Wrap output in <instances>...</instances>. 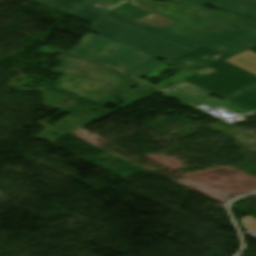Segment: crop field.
<instances>
[{
    "instance_id": "5142ce71",
    "label": "crop field",
    "mask_w": 256,
    "mask_h": 256,
    "mask_svg": "<svg viewBox=\"0 0 256 256\" xmlns=\"http://www.w3.org/2000/svg\"><path fill=\"white\" fill-rule=\"evenodd\" d=\"M168 1L186 3V4L203 7V6L210 4L216 0H168Z\"/></svg>"
},
{
    "instance_id": "34b2d1b8",
    "label": "crop field",
    "mask_w": 256,
    "mask_h": 256,
    "mask_svg": "<svg viewBox=\"0 0 256 256\" xmlns=\"http://www.w3.org/2000/svg\"><path fill=\"white\" fill-rule=\"evenodd\" d=\"M39 52L46 54L63 53L68 55L62 58L59 67L51 70L54 73H64L52 86L59 89L62 87V90L96 104L108 96L117 87V83L127 79L126 76L115 74L107 68L49 46L42 47ZM70 64L72 66H70ZM80 67H82V69H79ZM75 70H77V72H75ZM84 72H87V74H83ZM68 74H70V76H68ZM81 77H85L84 80H80ZM71 78L75 80L70 81ZM57 82L59 86H55ZM75 82L78 83L74 84ZM89 82H91V84L87 88L86 85ZM92 85L95 86L91 88ZM73 89H75V91H73ZM105 93L108 94L104 96ZM94 94H97V96H94Z\"/></svg>"
},
{
    "instance_id": "bc2a9ffb",
    "label": "crop field",
    "mask_w": 256,
    "mask_h": 256,
    "mask_svg": "<svg viewBox=\"0 0 256 256\" xmlns=\"http://www.w3.org/2000/svg\"><path fill=\"white\" fill-rule=\"evenodd\" d=\"M249 50H251V51H253V52H256V46L253 47V48H251V49H249Z\"/></svg>"
},
{
    "instance_id": "d8731c3e",
    "label": "crop field",
    "mask_w": 256,
    "mask_h": 256,
    "mask_svg": "<svg viewBox=\"0 0 256 256\" xmlns=\"http://www.w3.org/2000/svg\"><path fill=\"white\" fill-rule=\"evenodd\" d=\"M210 5L242 16L255 17L256 21V0H218Z\"/></svg>"
},
{
    "instance_id": "d9b57169",
    "label": "crop field",
    "mask_w": 256,
    "mask_h": 256,
    "mask_svg": "<svg viewBox=\"0 0 256 256\" xmlns=\"http://www.w3.org/2000/svg\"><path fill=\"white\" fill-rule=\"evenodd\" d=\"M241 221H242L243 227H245V226H244V223H246V224H248V225H250V226L256 228V219H254V218H252V217H250V216H248V217L242 219Z\"/></svg>"
},
{
    "instance_id": "412701ff",
    "label": "crop field",
    "mask_w": 256,
    "mask_h": 256,
    "mask_svg": "<svg viewBox=\"0 0 256 256\" xmlns=\"http://www.w3.org/2000/svg\"><path fill=\"white\" fill-rule=\"evenodd\" d=\"M111 49L113 53H108ZM69 53L81 57H88L92 61L109 69L124 73L145 61L153 58L149 55L115 43L99 35L87 33L81 39V45L69 51ZM112 64H117L113 66Z\"/></svg>"
},
{
    "instance_id": "cbeb9de0",
    "label": "crop field",
    "mask_w": 256,
    "mask_h": 256,
    "mask_svg": "<svg viewBox=\"0 0 256 256\" xmlns=\"http://www.w3.org/2000/svg\"><path fill=\"white\" fill-rule=\"evenodd\" d=\"M203 104V105H206V106H209V107H214V108H218V107H221L229 102L225 101V100H219V99H215L213 97H210V98H207V99H204V100H201V101H198V102H195V103H192L193 105H196V104Z\"/></svg>"
},
{
    "instance_id": "214f88e0",
    "label": "crop field",
    "mask_w": 256,
    "mask_h": 256,
    "mask_svg": "<svg viewBox=\"0 0 256 256\" xmlns=\"http://www.w3.org/2000/svg\"><path fill=\"white\" fill-rule=\"evenodd\" d=\"M127 1V0H126Z\"/></svg>"
},
{
    "instance_id": "733c2abd",
    "label": "crop field",
    "mask_w": 256,
    "mask_h": 256,
    "mask_svg": "<svg viewBox=\"0 0 256 256\" xmlns=\"http://www.w3.org/2000/svg\"><path fill=\"white\" fill-rule=\"evenodd\" d=\"M91 2H95V3H99V4H102V5H110V7H116L117 5L111 3V2H108L106 0H92Z\"/></svg>"
},
{
    "instance_id": "8a807250",
    "label": "crop field",
    "mask_w": 256,
    "mask_h": 256,
    "mask_svg": "<svg viewBox=\"0 0 256 256\" xmlns=\"http://www.w3.org/2000/svg\"><path fill=\"white\" fill-rule=\"evenodd\" d=\"M129 2L179 22L158 29L112 11L91 32L166 61L201 45L230 56L256 45V24L235 15L176 3Z\"/></svg>"
},
{
    "instance_id": "f4fd0767",
    "label": "crop field",
    "mask_w": 256,
    "mask_h": 256,
    "mask_svg": "<svg viewBox=\"0 0 256 256\" xmlns=\"http://www.w3.org/2000/svg\"><path fill=\"white\" fill-rule=\"evenodd\" d=\"M95 24L105 13L87 0H35Z\"/></svg>"
},
{
    "instance_id": "ac0d7876",
    "label": "crop field",
    "mask_w": 256,
    "mask_h": 256,
    "mask_svg": "<svg viewBox=\"0 0 256 256\" xmlns=\"http://www.w3.org/2000/svg\"><path fill=\"white\" fill-rule=\"evenodd\" d=\"M217 54L222 57L212 60ZM206 56L208 58L206 60L203 59ZM227 57L224 54L201 46L196 51L186 53L169 62L177 64L182 67V70L194 74L184 79V81L224 98L256 83V76L224 62L223 60ZM187 61L191 62V64H186L185 62ZM200 64H203V66ZM204 68L215 71L211 74L199 75L198 71Z\"/></svg>"
},
{
    "instance_id": "4a817a6b",
    "label": "crop field",
    "mask_w": 256,
    "mask_h": 256,
    "mask_svg": "<svg viewBox=\"0 0 256 256\" xmlns=\"http://www.w3.org/2000/svg\"><path fill=\"white\" fill-rule=\"evenodd\" d=\"M109 1H111V2H113L115 4H117V5H119V4L124 2V1H121V0H109Z\"/></svg>"
},
{
    "instance_id": "d1516ede",
    "label": "crop field",
    "mask_w": 256,
    "mask_h": 256,
    "mask_svg": "<svg viewBox=\"0 0 256 256\" xmlns=\"http://www.w3.org/2000/svg\"><path fill=\"white\" fill-rule=\"evenodd\" d=\"M130 4H133V3H130ZM133 5L138 6L136 4H133ZM138 7H140V6H138ZM140 8H143V7H140ZM143 9H145V8H143ZM146 10H148V9H146ZM140 21H143L145 23L151 24V25L156 26L158 28H161V27H164L166 25H170V24H173V23L176 22V21H174L172 19H169V18L164 17V16H162L160 14H157V13L154 14V15H151L149 17L143 18Z\"/></svg>"
},
{
    "instance_id": "e52e79f7",
    "label": "crop field",
    "mask_w": 256,
    "mask_h": 256,
    "mask_svg": "<svg viewBox=\"0 0 256 256\" xmlns=\"http://www.w3.org/2000/svg\"><path fill=\"white\" fill-rule=\"evenodd\" d=\"M184 87H190V88L185 89ZM168 89H172V90L170 91ZM177 89H180L182 91H179ZM161 92L168 94L172 97H175L185 103H191L196 100H199V99H202V98L212 95L206 91H203L194 86H191L183 81L174 86L168 87V88L162 90Z\"/></svg>"
},
{
    "instance_id": "28ad6ade",
    "label": "crop field",
    "mask_w": 256,
    "mask_h": 256,
    "mask_svg": "<svg viewBox=\"0 0 256 256\" xmlns=\"http://www.w3.org/2000/svg\"><path fill=\"white\" fill-rule=\"evenodd\" d=\"M114 11L122 13L129 17L135 18L137 20H139L143 17H146L148 15L154 14V13L148 12L146 10L140 9L138 7H135L133 5H130L128 3H125V4L117 7Z\"/></svg>"
},
{
    "instance_id": "5a996713",
    "label": "crop field",
    "mask_w": 256,
    "mask_h": 256,
    "mask_svg": "<svg viewBox=\"0 0 256 256\" xmlns=\"http://www.w3.org/2000/svg\"><path fill=\"white\" fill-rule=\"evenodd\" d=\"M246 110L256 111V84L225 99Z\"/></svg>"
},
{
    "instance_id": "dd49c442",
    "label": "crop field",
    "mask_w": 256,
    "mask_h": 256,
    "mask_svg": "<svg viewBox=\"0 0 256 256\" xmlns=\"http://www.w3.org/2000/svg\"><path fill=\"white\" fill-rule=\"evenodd\" d=\"M142 84V82L135 80V79H127L122 83V85L115 90L100 106L104 107L108 103L114 101V98L119 97L118 99H125L126 103L120 106V108L129 105L145 96H149L155 92H157L158 88H155L153 86L144 84L143 86L137 87L136 89L132 90L131 92L128 90L130 87L137 86ZM123 90H120L121 87ZM144 87H147V89H143ZM120 108L116 109L115 111L119 110Z\"/></svg>"
},
{
    "instance_id": "22f410ed",
    "label": "crop field",
    "mask_w": 256,
    "mask_h": 256,
    "mask_svg": "<svg viewBox=\"0 0 256 256\" xmlns=\"http://www.w3.org/2000/svg\"><path fill=\"white\" fill-rule=\"evenodd\" d=\"M160 64H162V63L157 62L154 59H151V60L145 62L144 64H142V65H140V66L124 73V74H127V75L132 76V77H136V76H138V75H140V74H142V73H144V72H146V71H148V70H150V69H152V68H154V67H156Z\"/></svg>"
},
{
    "instance_id": "3316defc",
    "label": "crop field",
    "mask_w": 256,
    "mask_h": 256,
    "mask_svg": "<svg viewBox=\"0 0 256 256\" xmlns=\"http://www.w3.org/2000/svg\"><path fill=\"white\" fill-rule=\"evenodd\" d=\"M225 61L256 75V53L246 50Z\"/></svg>"
}]
</instances>
